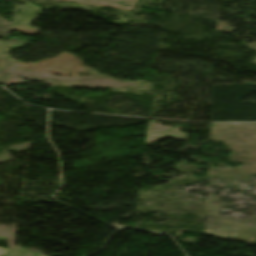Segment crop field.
Wrapping results in <instances>:
<instances>
[{"label": "crop field", "mask_w": 256, "mask_h": 256, "mask_svg": "<svg viewBox=\"0 0 256 256\" xmlns=\"http://www.w3.org/2000/svg\"><path fill=\"white\" fill-rule=\"evenodd\" d=\"M89 5L109 6L112 8L133 11L138 0H68Z\"/></svg>", "instance_id": "1"}, {"label": "crop field", "mask_w": 256, "mask_h": 256, "mask_svg": "<svg viewBox=\"0 0 256 256\" xmlns=\"http://www.w3.org/2000/svg\"><path fill=\"white\" fill-rule=\"evenodd\" d=\"M10 23L0 17V35L9 34Z\"/></svg>", "instance_id": "2"}, {"label": "crop field", "mask_w": 256, "mask_h": 256, "mask_svg": "<svg viewBox=\"0 0 256 256\" xmlns=\"http://www.w3.org/2000/svg\"><path fill=\"white\" fill-rule=\"evenodd\" d=\"M9 251H10V249L0 248V256L6 254Z\"/></svg>", "instance_id": "3"}, {"label": "crop field", "mask_w": 256, "mask_h": 256, "mask_svg": "<svg viewBox=\"0 0 256 256\" xmlns=\"http://www.w3.org/2000/svg\"><path fill=\"white\" fill-rule=\"evenodd\" d=\"M5 1H8V0H5Z\"/></svg>", "instance_id": "4"}]
</instances>
